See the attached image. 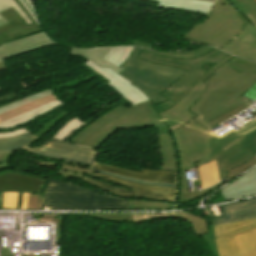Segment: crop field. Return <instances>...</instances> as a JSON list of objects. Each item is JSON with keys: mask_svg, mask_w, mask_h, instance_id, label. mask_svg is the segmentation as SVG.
I'll use <instances>...</instances> for the list:
<instances>
[{"mask_svg": "<svg viewBox=\"0 0 256 256\" xmlns=\"http://www.w3.org/2000/svg\"><path fill=\"white\" fill-rule=\"evenodd\" d=\"M174 205L169 203L132 201L128 209H173Z\"/></svg>", "mask_w": 256, "mask_h": 256, "instance_id": "31", "label": "crop field"}, {"mask_svg": "<svg viewBox=\"0 0 256 256\" xmlns=\"http://www.w3.org/2000/svg\"><path fill=\"white\" fill-rule=\"evenodd\" d=\"M10 7H12L23 18L26 25L32 23V21L29 19V17L26 15V13L23 11V9L18 5V3L15 0H0V12ZM6 23H8V21L0 15V26Z\"/></svg>", "mask_w": 256, "mask_h": 256, "instance_id": "28", "label": "crop field"}, {"mask_svg": "<svg viewBox=\"0 0 256 256\" xmlns=\"http://www.w3.org/2000/svg\"><path fill=\"white\" fill-rule=\"evenodd\" d=\"M202 189L212 186L219 182L216 162L213 161L198 167Z\"/></svg>", "mask_w": 256, "mask_h": 256, "instance_id": "23", "label": "crop field"}, {"mask_svg": "<svg viewBox=\"0 0 256 256\" xmlns=\"http://www.w3.org/2000/svg\"><path fill=\"white\" fill-rule=\"evenodd\" d=\"M226 64H228L237 72L256 73V62H251L234 57Z\"/></svg>", "mask_w": 256, "mask_h": 256, "instance_id": "29", "label": "crop field"}, {"mask_svg": "<svg viewBox=\"0 0 256 256\" xmlns=\"http://www.w3.org/2000/svg\"><path fill=\"white\" fill-rule=\"evenodd\" d=\"M235 7L243 13H250L256 19V1L255 0H229Z\"/></svg>", "mask_w": 256, "mask_h": 256, "instance_id": "32", "label": "crop field"}, {"mask_svg": "<svg viewBox=\"0 0 256 256\" xmlns=\"http://www.w3.org/2000/svg\"><path fill=\"white\" fill-rule=\"evenodd\" d=\"M68 182L49 179L42 193L44 206L51 210L127 209L130 201L88 191Z\"/></svg>", "mask_w": 256, "mask_h": 256, "instance_id": "4", "label": "crop field"}, {"mask_svg": "<svg viewBox=\"0 0 256 256\" xmlns=\"http://www.w3.org/2000/svg\"><path fill=\"white\" fill-rule=\"evenodd\" d=\"M25 6L30 10V12L32 13V15L35 17V19L38 21L37 19V14H36V10H35V6L34 4L31 2V0H21Z\"/></svg>", "mask_w": 256, "mask_h": 256, "instance_id": "41", "label": "crop field"}, {"mask_svg": "<svg viewBox=\"0 0 256 256\" xmlns=\"http://www.w3.org/2000/svg\"><path fill=\"white\" fill-rule=\"evenodd\" d=\"M200 1H206V2H212L215 3L216 0H200Z\"/></svg>", "mask_w": 256, "mask_h": 256, "instance_id": "46", "label": "crop field"}, {"mask_svg": "<svg viewBox=\"0 0 256 256\" xmlns=\"http://www.w3.org/2000/svg\"><path fill=\"white\" fill-rule=\"evenodd\" d=\"M174 214L177 217H183L186 220H188L191 223L195 234H201V235L208 234L207 222L203 218H200L199 216H194L189 213H174Z\"/></svg>", "mask_w": 256, "mask_h": 256, "instance_id": "27", "label": "crop field"}, {"mask_svg": "<svg viewBox=\"0 0 256 256\" xmlns=\"http://www.w3.org/2000/svg\"><path fill=\"white\" fill-rule=\"evenodd\" d=\"M214 50L211 47L204 46L199 49L190 52H159L142 49L143 52L155 54L162 57L177 58V59H194L203 56L204 54Z\"/></svg>", "mask_w": 256, "mask_h": 256, "instance_id": "22", "label": "crop field"}, {"mask_svg": "<svg viewBox=\"0 0 256 256\" xmlns=\"http://www.w3.org/2000/svg\"><path fill=\"white\" fill-rule=\"evenodd\" d=\"M256 164V158L228 171V179L227 180H230L232 179L233 177L237 176L238 174H240L241 172L247 170L249 167L253 166Z\"/></svg>", "mask_w": 256, "mask_h": 256, "instance_id": "37", "label": "crop field"}, {"mask_svg": "<svg viewBox=\"0 0 256 256\" xmlns=\"http://www.w3.org/2000/svg\"><path fill=\"white\" fill-rule=\"evenodd\" d=\"M220 256H256V220L215 226Z\"/></svg>", "mask_w": 256, "mask_h": 256, "instance_id": "6", "label": "crop field"}, {"mask_svg": "<svg viewBox=\"0 0 256 256\" xmlns=\"http://www.w3.org/2000/svg\"><path fill=\"white\" fill-rule=\"evenodd\" d=\"M220 191L227 201L256 195V168Z\"/></svg>", "mask_w": 256, "mask_h": 256, "instance_id": "15", "label": "crop field"}, {"mask_svg": "<svg viewBox=\"0 0 256 256\" xmlns=\"http://www.w3.org/2000/svg\"><path fill=\"white\" fill-rule=\"evenodd\" d=\"M134 47L130 46H119V47H112L111 50L106 55L105 59L112 62L113 64L121 67Z\"/></svg>", "mask_w": 256, "mask_h": 256, "instance_id": "26", "label": "crop field"}, {"mask_svg": "<svg viewBox=\"0 0 256 256\" xmlns=\"http://www.w3.org/2000/svg\"><path fill=\"white\" fill-rule=\"evenodd\" d=\"M84 124L86 123L74 117L65 125H63L52 137L60 140H64L72 130L75 131Z\"/></svg>", "mask_w": 256, "mask_h": 256, "instance_id": "30", "label": "crop field"}, {"mask_svg": "<svg viewBox=\"0 0 256 256\" xmlns=\"http://www.w3.org/2000/svg\"><path fill=\"white\" fill-rule=\"evenodd\" d=\"M224 218L214 220L215 225L256 219V199L222 205Z\"/></svg>", "mask_w": 256, "mask_h": 256, "instance_id": "14", "label": "crop field"}, {"mask_svg": "<svg viewBox=\"0 0 256 256\" xmlns=\"http://www.w3.org/2000/svg\"><path fill=\"white\" fill-rule=\"evenodd\" d=\"M224 181H222L221 183H219L218 185L210 188V189H205V190H201L199 192L196 193H191V194H180V200L179 203H187L189 201L195 200L201 196H203L204 194H206L207 192L216 189L218 186H220Z\"/></svg>", "mask_w": 256, "mask_h": 256, "instance_id": "34", "label": "crop field"}, {"mask_svg": "<svg viewBox=\"0 0 256 256\" xmlns=\"http://www.w3.org/2000/svg\"><path fill=\"white\" fill-rule=\"evenodd\" d=\"M92 176L97 177V178L102 179V180H106V181L115 183V184H119V185H123V186H127V187H130V188L139 190V192L131 191V190H125L123 188H119V187H116V186H113V185H109V184H106L104 182H101V181H98V180H95V179H91V178H87V177L83 178L87 182H89L90 184H92L94 186H97V187H100L104 190L111 191V192H113L117 195L146 197L148 199H159V200H166V201L175 202L174 197H175L176 189L161 188V187H148V186L138 185V184H134V183L114 179V178H111V177L103 176V175L98 174L97 172L93 173Z\"/></svg>", "mask_w": 256, "mask_h": 256, "instance_id": "7", "label": "crop field"}, {"mask_svg": "<svg viewBox=\"0 0 256 256\" xmlns=\"http://www.w3.org/2000/svg\"><path fill=\"white\" fill-rule=\"evenodd\" d=\"M41 194H30L27 209H42L43 199Z\"/></svg>", "mask_w": 256, "mask_h": 256, "instance_id": "40", "label": "crop field"}, {"mask_svg": "<svg viewBox=\"0 0 256 256\" xmlns=\"http://www.w3.org/2000/svg\"><path fill=\"white\" fill-rule=\"evenodd\" d=\"M5 68H7L5 62H1L0 63V69H5Z\"/></svg>", "mask_w": 256, "mask_h": 256, "instance_id": "45", "label": "crop field"}, {"mask_svg": "<svg viewBox=\"0 0 256 256\" xmlns=\"http://www.w3.org/2000/svg\"><path fill=\"white\" fill-rule=\"evenodd\" d=\"M206 243L211 247L214 256H219L217 247H216V239H215V232L214 226H209V235L202 236Z\"/></svg>", "mask_w": 256, "mask_h": 256, "instance_id": "38", "label": "crop field"}, {"mask_svg": "<svg viewBox=\"0 0 256 256\" xmlns=\"http://www.w3.org/2000/svg\"><path fill=\"white\" fill-rule=\"evenodd\" d=\"M110 48L111 47L94 48V49L71 48L69 53L83 56V57L89 59L90 61H92L94 64H96L101 69L106 66L118 74L120 71H122V69L104 59L105 55L110 50Z\"/></svg>", "mask_w": 256, "mask_h": 256, "instance_id": "18", "label": "crop field"}, {"mask_svg": "<svg viewBox=\"0 0 256 256\" xmlns=\"http://www.w3.org/2000/svg\"><path fill=\"white\" fill-rule=\"evenodd\" d=\"M137 57L147 61L187 70V72L179 80H177L162 94L168 100L156 107V110L160 113L180 102L182 98L188 94L199 81L205 82V80L213 74V71L216 68L224 64L232 56L215 50L195 60L168 59L155 55H149L143 52H140ZM212 62L217 63L210 70L207 71L200 68L203 64Z\"/></svg>", "mask_w": 256, "mask_h": 256, "instance_id": "2", "label": "crop field"}, {"mask_svg": "<svg viewBox=\"0 0 256 256\" xmlns=\"http://www.w3.org/2000/svg\"><path fill=\"white\" fill-rule=\"evenodd\" d=\"M84 64L88 65L89 67L93 68L97 72L101 73L105 78L110 80L107 84L113 87L117 92H119L124 98H126L132 106L150 100L146 95H144L141 90L136 88L134 85L130 84L116 73L112 72L111 70L98 68L92 62L87 60Z\"/></svg>", "mask_w": 256, "mask_h": 256, "instance_id": "11", "label": "crop field"}, {"mask_svg": "<svg viewBox=\"0 0 256 256\" xmlns=\"http://www.w3.org/2000/svg\"><path fill=\"white\" fill-rule=\"evenodd\" d=\"M3 193H0V209H2Z\"/></svg>", "mask_w": 256, "mask_h": 256, "instance_id": "44", "label": "crop field"}, {"mask_svg": "<svg viewBox=\"0 0 256 256\" xmlns=\"http://www.w3.org/2000/svg\"><path fill=\"white\" fill-rule=\"evenodd\" d=\"M47 40H50V39L46 36L45 32H42L38 35H34L31 37H27V38L13 41L10 43L2 44L0 47V55L9 53L14 50L34 46Z\"/></svg>", "mask_w": 256, "mask_h": 256, "instance_id": "20", "label": "crop field"}, {"mask_svg": "<svg viewBox=\"0 0 256 256\" xmlns=\"http://www.w3.org/2000/svg\"><path fill=\"white\" fill-rule=\"evenodd\" d=\"M140 51L141 48L135 47L126 63L122 66L124 70L118 75L141 89L156 106L167 100L161 94L179 79L185 73V70L138 59L136 56Z\"/></svg>", "mask_w": 256, "mask_h": 256, "instance_id": "3", "label": "crop field"}, {"mask_svg": "<svg viewBox=\"0 0 256 256\" xmlns=\"http://www.w3.org/2000/svg\"><path fill=\"white\" fill-rule=\"evenodd\" d=\"M131 43L133 45H139V46H144V47H148V48H152L154 46L153 44L144 43V42H140V41H132Z\"/></svg>", "mask_w": 256, "mask_h": 256, "instance_id": "42", "label": "crop field"}, {"mask_svg": "<svg viewBox=\"0 0 256 256\" xmlns=\"http://www.w3.org/2000/svg\"><path fill=\"white\" fill-rule=\"evenodd\" d=\"M34 138L36 137L29 132L13 138L0 139V152L19 149L29 143Z\"/></svg>", "mask_w": 256, "mask_h": 256, "instance_id": "25", "label": "crop field"}, {"mask_svg": "<svg viewBox=\"0 0 256 256\" xmlns=\"http://www.w3.org/2000/svg\"><path fill=\"white\" fill-rule=\"evenodd\" d=\"M50 44L61 45V44H58V43H56V42L50 40V41H47V42H45V43L39 44V45L34 46V47H31V48H27V49H23V50L11 52V53L6 54V55H2V56H0V62H1V61H4L3 59L6 58V57H10V56L17 55V54H20V53H24V52H28V51H31V50H35V49H38V48H42V47L48 46V45H50Z\"/></svg>", "mask_w": 256, "mask_h": 256, "instance_id": "39", "label": "crop field"}, {"mask_svg": "<svg viewBox=\"0 0 256 256\" xmlns=\"http://www.w3.org/2000/svg\"><path fill=\"white\" fill-rule=\"evenodd\" d=\"M247 108H249V106L244 104V105H242V106H240L238 108H235V109H233V110H231V111L221 115L220 117H218V118H216L214 120L209 121L208 123H210L212 125H216V124L221 123L222 121L230 118L231 116H233V115H235V114H237V113H239V112H241V111H243V110H245Z\"/></svg>", "mask_w": 256, "mask_h": 256, "instance_id": "36", "label": "crop field"}, {"mask_svg": "<svg viewBox=\"0 0 256 256\" xmlns=\"http://www.w3.org/2000/svg\"><path fill=\"white\" fill-rule=\"evenodd\" d=\"M179 206H181V205H176V207H175V208H177V207H179Z\"/></svg>", "mask_w": 256, "mask_h": 256, "instance_id": "47", "label": "crop field"}, {"mask_svg": "<svg viewBox=\"0 0 256 256\" xmlns=\"http://www.w3.org/2000/svg\"><path fill=\"white\" fill-rule=\"evenodd\" d=\"M93 168L106 170L141 180L177 184V171H155L149 169H142L140 172H136L106 166L98 163H95Z\"/></svg>", "mask_w": 256, "mask_h": 256, "instance_id": "13", "label": "crop field"}, {"mask_svg": "<svg viewBox=\"0 0 256 256\" xmlns=\"http://www.w3.org/2000/svg\"><path fill=\"white\" fill-rule=\"evenodd\" d=\"M159 2L157 7L207 14L212 3L194 0H149Z\"/></svg>", "mask_w": 256, "mask_h": 256, "instance_id": "17", "label": "crop field"}, {"mask_svg": "<svg viewBox=\"0 0 256 256\" xmlns=\"http://www.w3.org/2000/svg\"><path fill=\"white\" fill-rule=\"evenodd\" d=\"M10 23L0 27V44L36 31H42L38 24L26 26L21 17L11 8L1 13Z\"/></svg>", "mask_w": 256, "mask_h": 256, "instance_id": "12", "label": "crop field"}, {"mask_svg": "<svg viewBox=\"0 0 256 256\" xmlns=\"http://www.w3.org/2000/svg\"><path fill=\"white\" fill-rule=\"evenodd\" d=\"M56 99H57L56 96L54 94H52L50 96L35 100L33 102L27 103L25 105H22V106H19L17 108L6 111L4 113H1L0 114V122L4 121V120H7V119H10L12 117H15L17 115H20L22 113H25L27 111H30L32 109H35L37 107H40V106H42L44 104H47L49 102H52Z\"/></svg>", "mask_w": 256, "mask_h": 256, "instance_id": "21", "label": "crop field"}, {"mask_svg": "<svg viewBox=\"0 0 256 256\" xmlns=\"http://www.w3.org/2000/svg\"><path fill=\"white\" fill-rule=\"evenodd\" d=\"M236 10L228 0H217L208 17L183 36L221 49L242 32L245 23Z\"/></svg>", "mask_w": 256, "mask_h": 256, "instance_id": "5", "label": "crop field"}, {"mask_svg": "<svg viewBox=\"0 0 256 256\" xmlns=\"http://www.w3.org/2000/svg\"><path fill=\"white\" fill-rule=\"evenodd\" d=\"M173 134V140L175 142L176 151L179 158V165H178V186H179V193H189L188 184H187V177L185 173V167L183 163V156L181 145L178 137V132L175 131Z\"/></svg>", "mask_w": 256, "mask_h": 256, "instance_id": "24", "label": "crop field"}, {"mask_svg": "<svg viewBox=\"0 0 256 256\" xmlns=\"http://www.w3.org/2000/svg\"><path fill=\"white\" fill-rule=\"evenodd\" d=\"M92 170L97 171L100 174H104V175H107V176L123 179V180H126V181L138 183V184H143V185H148V186H162V187L178 188L177 185H173V184H163V183L140 181V180L132 179V178H129V177H125V176H121V175H117V174H113V173H109V172H105V171H101V170H96V169H92Z\"/></svg>", "mask_w": 256, "mask_h": 256, "instance_id": "33", "label": "crop field"}, {"mask_svg": "<svg viewBox=\"0 0 256 256\" xmlns=\"http://www.w3.org/2000/svg\"><path fill=\"white\" fill-rule=\"evenodd\" d=\"M246 25L243 32L222 50L233 55L256 61V20L250 15L238 12Z\"/></svg>", "mask_w": 256, "mask_h": 256, "instance_id": "9", "label": "crop field"}, {"mask_svg": "<svg viewBox=\"0 0 256 256\" xmlns=\"http://www.w3.org/2000/svg\"><path fill=\"white\" fill-rule=\"evenodd\" d=\"M18 192H4L3 209H16Z\"/></svg>", "mask_w": 256, "mask_h": 256, "instance_id": "35", "label": "crop field"}, {"mask_svg": "<svg viewBox=\"0 0 256 256\" xmlns=\"http://www.w3.org/2000/svg\"><path fill=\"white\" fill-rule=\"evenodd\" d=\"M28 197H29V193H24L23 203H22V208L21 209H26Z\"/></svg>", "mask_w": 256, "mask_h": 256, "instance_id": "43", "label": "crop field"}, {"mask_svg": "<svg viewBox=\"0 0 256 256\" xmlns=\"http://www.w3.org/2000/svg\"><path fill=\"white\" fill-rule=\"evenodd\" d=\"M64 103H62L61 101L57 100V101H54L52 103H49L47 105H44L40 108H37L35 110H32L30 112H27L25 114H22L20 116H17L15 118H12L10 120H7V121H4L2 123H0V128L2 129H8V128H11V127H14V126H18V125H21L29 120H32L60 105H62ZM25 132H28L26 129L24 128H21L19 130H16V131H13V132H10V133H5V134H0V138H8V137H13V136H17V135H20L22 133H25Z\"/></svg>", "mask_w": 256, "mask_h": 256, "instance_id": "16", "label": "crop field"}, {"mask_svg": "<svg viewBox=\"0 0 256 256\" xmlns=\"http://www.w3.org/2000/svg\"><path fill=\"white\" fill-rule=\"evenodd\" d=\"M255 80L256 74L237 73L224 64L168 111L159 114L147 102L129 108L121 105L89 125L72 143L97 149L118 129L156 127L163 158L160 170H177L170 132L178 129L186 171L216 159L221 181L228 169L256 157V119L220 136L211 131L220 124L214 127L207 121L243 103L251 106L239 96Z\"/></svg>", "mask_w": 256, "mask_h": 256, "instance_id": "1", "label": "crop field"}, {"mask_svg": "<svg viewBox=\"0 0 256 256\" xmlns=\"http://www.w3.org/2000/svg\"><path fill=\"white\" fill-rule=\"evenodd\" d=\"M46 180L7 173L0 174V192L19 191L17 209L21 208L23 192L41 193L45 187Z\"/></svg>", "mask_w": 256, "mask_h": 256, "instance_id": "10", "label": "crop field"}, {"mask_svg": "<svg viewBox=\"0 0 256 256\" xmlns=\"http://www.w3.org/2000/svg\"><path fill=\"white\" fill-rule=\"evenodd\" d=\"M34 154L67 161L91 165L93 164L98 152L65 142L49 139L36 149L24 148Z\"/></svg>", "mask_w": 256, "mask_h": 256, "instance_id": "8", "label": "crop field"}, {"mask_svg": "<svg viewBox=\"0 0 256 256\" xmlns=\"http://www.w3.org/2000/svg\"><path fill=\"white\" fill-rule=\"evenodd\" d=\"M36 165L40 166H53L56 169L57 164H52L48 162H43V161H36ZM91 167L87 165H82V164H77V163H72V162H67L63 161V165L60 170L56 172V175L63 176L65 178H82L85 174L91 175L93 171L89 170ZM54 169V170H55Z\"/></svg>", "mask_w": 256, "mask_h": 256, "instance_id": "19", "label": "crop field"}]
</instances>
